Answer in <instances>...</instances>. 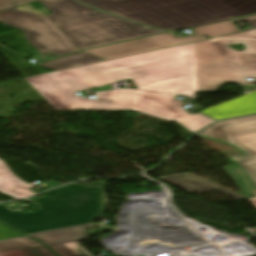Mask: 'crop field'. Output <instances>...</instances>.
Masks as SVG:
<instances>
[{
  "mask_svg": "<svg viewBox=\"0 0 256 256\" xmlns=\"http://www.w3.org/2000/svg\"><path fill=\"white\" fill-rule=\"evenodd\" d=\"M238 21H244L246 22L250 28L246 29V30H250V29H255L256 28V15H252V16H247V17H243V18H238V19H234L233 22H238ZM245 31V30H243Z\"/></svg>",
  "mask_w": 256,
  "mask_h": 256,
  "instance_id": "obj_23",
  "label": "crop field"
},
{
  "mask_svg": "<svg viewBox=\"0 0 256 256\" xmlns=\"http://www.w3.org/2000/svg\"><path fill=\"white\" fill-rule=\"evenodd\" d=\"M150 54L158 61L105 74L112 82L130 78L137 88L194 75V43Z\"/></svg>",
  "mask_w": 256,
  "mask_h": 256,
  "instance_id": "obj_6",
  "label": "crop field"
},
{
  "mask_svg": "<svg viewBox=\"0 0 256 256\" xmlns=\"http://www.w3.org/2000/svg\"><path fill=\"white\" fill-rule=\"evenodd\" d=\"M0 256H28L20 248L0 251Z\"/></svg>",
  "mask_w": 256,
  "mask_h": 256,
  "instance_id": "obj_25",
  "label": "crop field"
},
{
  "mask_svg": "<svg viewBox=\"0 0 256 256\" xmlns=\"http://www.w3.org/2000/svg\"><path fill=\"white\" fill-rule=\"evenodd\" d=\"M223 37H235V38H256V29L255 30H250V31H245V32H240L236 34H231Z\"/></svg>",
  "mask_w": 256,
  "mask_h": 256,
  "instance_id": "obj_24",
  "label": "crop field"
},
{
  "mask_svg": "<svg viewBox=\"0 0 256 256\" xmlns=\"http://www.w3.org/2000/svg\"><path fill=\"white\" fill-rule=\"evenodd\" d=\"M224 128L233 144L256 157V122Z\"/></svg>",
  "mask_w": 256,
  "mask_h": 256,
  "instance_id": "obj_14",
  "label": "crop field"
},
{
  "mask_svg": "<svg viewBox=\"0 0 256 256\" xmlns=\"http://www.w3.org/2000/svg\"><path fill=\"white\" fill-rule=\"evenodd\" d=\"M251 200V202L255 205V207H256V198H252V199H250Z\"/></svg>",
  "mask_w": 256,
  "mask_h": 256,
  "instance_id": "obj_28",
  "label": "crop field"
},
{
  "mask_svg": "<svg viewBox=\"0 0 256 256\" xmlns=\"http://www.w3.org/2000/svg\"><path fill=\"white\" fill-rule=\"evenodd\" d=\"M100 61L104 60L85 52H79L59 59L48 61L42 64H37V66L42 68H51L57 71L64 68L76 67Z\"/></svg>",
  "mask_w": 256,
  "mask_h": 256,
  "instance_id": "obj_16",
  "label": "crop field"
},
{
  "mask_svg": "<svg viewBox=\"0 0 256 256\" xmlns=\"http://www.w3.org/2000/svg\"><path fill=\"white\" fill-rule=\"evenodd\" d=\"M247 197L256 196V161L224 167Z\"/></svg>",
  "mask_w": 256,
  "mask_h": 256,
  "instance_id": "obj_12",
  "label": "crop field"
},
{
  "mask_svg": "<svg viewBox=\"0 0 256 256\" xmlns=\"http://www.w3.org/2000/svg\"><path fill=\"white\" fill-rule=\"evenodd\" d=\"M142 90H151L158 92H167V93H179L190 99H195V80L194 76L187 77L179 80H174L170 82H165L145 88Z\"/></svg>",
  "mask_w": 256,
  "mask_h": 256,
  "instance_id": "obj_17",
  "label": "crop field"
},
{
  "mask_svg": "<svg viewBox=\"0 0 256 256\" xmlns=\"http://www.w3.org/2000/svg\"><path fill=\"white\" fill-rule=\"evenodd\" d=\"M154 27L179 30L256 13V0H80Z\"/></svg>",
  "mask_w": 256,
  "mask_h": 256,
  "instance_id": "obj_2",
  "label": "crop field"
},
{
  "mask_svg": "<svg viewBox=\"0 0 256 256\" xmlns=\"http://www.w3.org/2000/svg\"><path fill=\"white\" fill-rule=\"evenodd\" d=\"M85 239L86 237L74 240L48 243L46 245L50 247L59 256H92L76 243L78 241Z\"/></svg>",
  "mask_w": 256,
  "mask_h": 256,
  "instance_id": "obj_19",
  "label": "crop field"
},
{
  "mask_svg": "<svg viewBox=\"0 0 256 256\" xmlns=\"http://www.w3.org/2000/svg\"><path fill=\"white\" fill-rule=\"evenodd\" d=\"M149 53L53 72L25 80L56 110H87L96 105H117L121 110H132L178 124L194 133L214 121L201 115H189L174 101L176 95L153 94L137 90H116L95 93L97 100L78 97L73 92L95 88L111 81L106 71L155 61Z\"/></svg>",
  "mask_w": 256,
  "mask_h": 256,
  "instance_id": "obj_1",
  "label": "crop field"
},
{
  "mask_svg": "<svg viewBox=\"0 0 256 256\" xmlns=\"http://www.w3.org/2000/svg\"><path fill=\"white\" fill-rule=\"evenodd\" d=\"M89 110H120L119 107L116 106H97L91 107Z\"/></svg>",
  "mask_w": 256,
  "mask_h": 256,
  "instance_id": "obj_26",
  "label": "crop field"
},
{
  "mask_svg": "<svg viewBox=\"0 0 256 256\" xmlns=\"http://www.w3.org/2000/svg\"><path fill=\"white\" fill-rule=\"evenodd\" d=\"M214 119H224L256 112V91L202 111Z\"/></svg>",
  "mask_w": 256,
  "mask_h": 256,
  "instance_id": "obj_9",
  "label": "crop field"
},
{
  "mask_svg": "<svg viewBox=\"0 0 256 256\" xmlns=\"http://www.w3.org/2000/svg\"><path fill=\"white\" fill-rule=\"evenodd\" d=\"M0 22L24 31L27 41L42 54L58 57L79 51L45 15L11 9L0 13Z\"/></svg>",
  "mask_w": 256,
  "mask_h": 256,
  "instance_id": "obj_7",
  "label": "crop field"
},
{
  "mask_svg": "<svg viewBox=\"0 0 256 256\" xmlns=\"http://www.w3.org/2000/svg\"><path fill=\"white\" fill-rule=\"evenodd\" d=\"M89 227L99 228L100 226L94 223H89V224H84V225H79V226H74L69 228L37 232V233L29 234V236L43 243H48V242L61 241V240L88 236L87 229Z\"/></svg>",
  "mask_w": 256,
  "mask_h": 256,
  "instance_id": "obj_15",
  "label": "crop field"
},
{
  "mask_svg": "<svg viewBox=\"0 0 256 256\" xmlns=\"http://www.w3.org/2000/svg\"><path fill=\"white\" fill-rule=\"evenodd\" d=\"M20 247L29 256H55L44 245L28 238L21 237L0 241V250Z\"/></svg>",
  "mask_w": 256,
  "mask_h": 256,
  "instance_id": "obj_18",
  "label": "crop field"
},
{
  "mask_svg": "<svg viewBox=\"0 0 256 256\" xmlns=\"http://www.w3.org/2000/svg\"><path fill=\"white\" fill-rule=\"evenodd\" d=\"M203 39H208V38H202V37H196V36L177 38L174 35L167 33V34L154 36L150 38L95 48V49L87 50L85 52H88L90 54L103 58L105 60H109V59L118 58L122 56L150 51V50H154L162 47L172 46V45L191 42V41L203 40Z\"/></svg>",
  "mask_w": 256,
  "mask_h": 256,
  "instance_id": "obj_8",
  "label": "crop field"
},
{
  "mask_svg": "<svg viewBox=\"0 0 256 256\" xmlns=\"http://www.w3.org/2000/svg\"><path fill=\"white\" fill-rule=\"evenodd\" d=\"M193 30H194L195 34H198V35L205 34L210 37H215V36L224 35V34L233 33V32L238 31L230 24L229 21H225V22H221V23H217V24H213V25H209V26H205V27H201V28H196Z\"/></svg>",
  "mask_w": 256,
  "mask_h": 256,
  "instance_id": "obj_20",
  "label": "crop field"
},
{
  "mask_svg": "<svg viewBox=\"0 0 256 256\" xmlns=\"http://www.w3.org/2000/svg\"><path fill=\"white\" fill-rule=\"evenodd\" d=\"M33 52L36 54V56L31 57V58H37V57H40V56H39V55H40V53H39V52H37L36 50H34Z\"/></svg>",
  "mask_w": 256,
  "mask_h": 256,
  "instance_id": "obj_27",
  "label": "crop field"
},
{
  "mask_svg": "<svg viewBox=\"0 0 256 256\" xmlns=\"http://www.w3.org/2000/svg\"><path fill=\"white\" fill-rule=\"evenodd\" d=\"M160 179L166 182H169L177 187H180L186 191L197 192V191L215 190V191L222 192L234 199L245 198L235 193H232L233 191L230 192L222 187H219L211 182H208L190 173L168 176Z\"/></svg>",
  "mask_w": 256,
  "mask_h": 256,
  "instance_id": "obj_11",
  "label": "crop field"
},
{
  "mask_svg": "<svg viewBox=\"0 0 256 256\" xmlns=\"http://www.w3.org/2000/svg\"><path fill=\"white\" fill-rule=\"evenodd\" d=\"M24 236L0 223V240Z\"/></svg>",
  "mask_w": 256,
  "mask_h": 256,
  "instance_id": "obj_22",
  "label": "crop field"
},
{
  "mask_svg": "<svg viewBox=\"0 0 256 256\" xmlns=\"http://www.w3.org/2000/svg\"><path fill=\"white\" fill-rule=\"evenodd\" d=\"M36 1L51 11L47 16L79 50L166 32L113 17L72 0Z\"/></svg>",
  "mask_w": 256,
  "mask_h": 256,
  "instance_id": "obj_4",
  "label": "crop field"
},
{
  "mask_svg": "<svg viewBox=\"0 0 256 256\" xmlns=\"http://www.w3.org/2000/svg\"><path fill=\"white\" fill-rule=\"evenodd\" d=\"M36 186V184H27L19 178L12 175V171L7 165L0 160V191L4 192L14 198L28 197L34 192L29 189Z\"/></svg>",
  "mask_w": 256,
  "mask_h": 256,
  "instance_id": "obj_13",
  "label": "crop field"
},
{
  "mask_svg": "<svg viewBox=\"0 0 256 256\" xmlns=\"http://www.w3.org/2000/svg\"><path fill=\"white\" fill-rule=\"evenodd\" d=\"M103 182L75 183L53 190L57 195L27 202L36 204L37 212H13L0 205V221L26 233L69 227L91 222L103 208Z\"/></svg>",
  "mask_w": 256,
  "mask_h": 256,
  "instance_id": "obj_3",
  "label": "crop field"
},
{
  "mask_svg": "<svg viewBox=\"0 0 256 256\" xmlns=\"http://www.w3.org/2000/svg\"><path fill=\"white\" fill-rule=\"evenodd\" d=\"M243 44V51L226 47ZM256 77V39L213 38L195 43L196 93L217 91L225 83H236L245 94L256 86L245 78Z\"/></svg>",
  "mask_w": 256,
  "mask_h": 256,
  "instance_id": "obj_5",
  "label": "crop field"
},
{
  "mask_svg": "<svg viewBox=\"0 0 256 256\" xmlns=\"http://www.w3.org/2000/svg\"><path fill=\"white\" fill-rule=\"evenodd\" d=\"M254 121H256V115L247 116V117H243V118H239V119L226 120V121L220 122L216 125H213L207 129H205L203 132L199 133L197 136L198 137H206V138H210L217 142L229 144L232 147H234L236 150L241 152L242 153L241 155L228 157V159H230L235 164L245 162V161L256 160V158L254 156H252L251 154L232 145L226 132L223 129L224 126L242 124V123H248V122H254Z\"/></svg>",
  "mask_w": 256,
  "mask_h": 256,
  "instance_id": "obj_10",
  "label": "crop field"
},
{
  "mask_svg": "<svg viewBox=\"0 0 256 256\" xmlns=\"http://www.w3.org/2000/svg\"><path fill=\"white\" fill-rule=\"evenodd\" d=\"M31 2L34 0H0V12Z\"/></svg>",
  "mask_w": 256,
  "mask_h": 256,
  "instance_id": "obj_21",
  "label": "crop field"
}]
</instances>
